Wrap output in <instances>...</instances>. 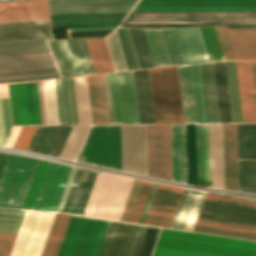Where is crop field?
I'll list each match as a JSON object with an SVG mask.
<instances>
[{"mask_svg":"<svg viewBox=\"0 0 256 256\" xmlns=\"http://www.w3.org/2000/svg\"><path fill=\"white\" fill-rule=\"evenodd\" d=\"M192 231L256 241V202L207 193Z\"/></svg>","mask_w":256,"mask_h":256,"instance_id":"8a807250","label":"crop field"},{"mask_svg":"<svg viewBox=\"0 0 256 256\" xmlns=\"http://www.w3.org/2000/svg\"><path fill=\"white\" fill-rule=\"evenodd\" d=\"M0 41V82L60 76L46 40Z\"/></svg>","mask_w":256,"mask_h":256,"instance_id":"ac0d7876","label":"crop field"},{"mask_svg":"<svg viewBox=\"0 0 256 256\" xmlns=\"http://www.w3.org/2000/svg\"><path fill=\"white\" fill-rule=\"evenodd\" d=\"M150 256H256V243L160 228Z\"/></svg>","mask_w":256,"mask_h":256,"instance_id":"34b2d1b8","label":"crop field"},{"mask_svg":"<svg viewBox=\"0 0 256 256\" xmlns=\"http://www.w3.org/2000/svg\"><path fill=\"white\" fill-rule=\"evenodd\" d=\"M50 19L125 18L137 0H47ZM123 19L66 20L51 22L53 28L119 25Z\"/></svg>","mask_w":256,"mask_h":256,"instance_id":"412701ff","label":"crop field"},{"mask_svg":"<svg viewBox=\"0 0 256 256\" xmlns=\"http://www.w3.org/2000/svg\"><path fill=\"white\" fill-rule=\"evenodd\" d=\"M209 24L256 25V12L131 11L121 26L164 28Z\"/></svg>","mask_w":256,"mask_h":256,"instance_id":"f4fd0767","label":"crop field"},{"mask_svg":"<svg viewBox=\"0 0 256 256\" xmlns=\"http://www.w3.org/2000/svg\"><path fill=\"white\" fill-rule=\"evenodd\" d=\"M133 180L98 172L83 215L119 221Z\"/></svg>","mask_w":256,"mask_h":256,"instance_id":"dd49c442","label":"crop field"},{"mask_svg":"<svg viewBox=\"0 0 256 256\" xmlns=\"http://www.w3.org/2000/svg\"><path fill=\"white\" fill-rule=\"evenodd\" d=\"M148 73L155 123H184L177 67Z\"/></svg>","mask_w":256,"mask_h":256,"instance_id":"e52e79f7","label":"crop field"},{"mask_svg":"<svg viewBox=\"0 0 256 256\" xmlns=\"http://www.w3.org/2000/svg\"><path fill=\"white\" fill-rule=\"evenodd\" d=\"M109 222L71 216L57 256H98Z\"/></svg>","mask_w":256,"mask_h":256,"instance_id":"d8731c3e","label":"crop field"},{"mask_svg":"<svg viewBox=\"0 0 256 256\" xmlns=\"http://www.w3.org/2000/svg\"><path fill=\"white\" fill-rule=\"evenodd\" d=\"M76 161L121 170L120 125L92 126Z\"/></svg>","mask_w":256,"mask_h":256,"instance_id":"5a996713","label":"crop field"},{"mask_svg":"<svg viewBox=\"0 0 256 256\" xmlns=\"http://www.w3.org/2000/svg\"><path fill=\"white\" fill-rule=\"evenodd\" d=\"M104 78L110 124L139 123L132 71Z\"/></svg>","mask_w":256,"mask_h":256,"instance_id":"3316defc","label":"crop field"},{"mask_svg":"<svg viewBox=\"0 0 256 256\" xmlns=\"http://www.w3.org/2000/svg\"><path fill=\"white\" fill-rule=\"evenodd\" d=\"M37 161L8 155L0 177V207L22 208Z\"/></svg>","mask_w":256,"mask_h":256,"instance_id":"28ad6ade","label":"crop field"},{"mask_svg":"<svg viewBox=\"0 0 256 256\" xmlns=\"http://www.w3.org/2000/svg\"><path fill=\"white\" fill-rule=\"evenodd\" d=\"M187 183L209 187L207 125H185Z\"/></svg>","mask_w":256,"mask_h":256,"instance_id":"d1516ede","label":"crop field"},{"mask_svg":"<svg viewBox=\"0 0 256 256\" xmlns=\"http://www.w3.org/2000/svg\"><path fill=\"white\" fill-rule=\"evenodd\" d=\"M54 215L26 211L11 256H39Z\"/></svg>","mask_w":256,"mask_h":256,"instance_id":"22f410ed","label":"crop field"},{"mask_svg":"<svg viewBox=\"0 0 256 256\" xmlns=\"http://www.w3.org/2000/svg\"><path fill=\"white\" fill-rule=\"evenodd\" d=\"M47 42L62 77L94 73L84 39Z\"/></svg>","mask_w":256,"mask_h":256,"instance_id":"cbeb9de0","label":"crop field"},{"mask_svg":"<svg viewBox=\"0 0 256 256\" xmlns=\"http://www.w3.org/2000/svg\"><path fill=\"white\" fill-rule=\"evenodd\" d=\"M147 176L171 180L169 125H146Z\"/></svg>","mask_w":256,"mask_h":256,"instance_id":"5142ce71","label":"crop field"},{"mask_svg":"<svg viewBox=\"0 0 256 256\" xmlns=\"http://www.w3.org/2000/svg\"><path fill=\"white\" fill-rule=\"evenodd\" d=\"M133 10L256 11V0H139Z\"/></svg>","mask_w":256,"mask_h":256,"instance_id":"d9b57169","label":"crop field"},{"mask_svg":"<svg viewBox=\"0 0 256 256\" xmlns=\"http://www.w3.org/2000/svg\"><path fill=\"white\" fill-rule=\"evenodd\" d=\"M145 227L111 221L99 256H136Z\"/></svg>","mask_w":256,"mask_h":256,"instance_id":"733c2abd","label":"crop field"},{"mask_svg":"<svg viewBox=\"0 0 256 256\" xmlns=\"http://www.w3.org/2000/svg\"><path fill=\"white\" fill-rule=\"evenodd\" d=\"M13 125H40L35 81L8 84Z\"/></svg>","mask_w":256,"mask_h":256,"instance_id":"4a817a6b","label":"crop field"},{"mask_svg":"<svg viewBox=\"0 0 256 256\" xmlns=\"http://www.w3.org/2000/svg\"><path fill=\"white\" fill-rule=\"evenodd\" d=\"M122 170L146 176L145 125H121Z\"/></svg>","mask_w":256,"mask_h":256,"instance_id":"bc2a9ffb","label":"crop field"},{"mask_svg":"<svg viewBox=\"0 0 256 256\" xmlns=\"http://www.w3.org/2000/svg\"><path fill=\"white\" fill-rule=\"evenodd\" d=\"M76 169L77 168L75 167L72 168L71 174L69 176V179H68V182H67V185L63 193L57 212L62 211L73 177L75 175ZM96 173L97 172L95 171H90V170H85L80 168L77 169L76 175L74 177L71 189L69 191V194L62 212L74 214V215L82 214V211L84 209V206L88 198L90 189L92 187Z\"/></svg>","mask_w":256,"mask_h":256,"instance_id":"214f88e0","label":"crop field"},{"mask_svg":"<svg viewBox=\"0 0 256 256\" xmlns=\"http://www.w3.org/2000/svg\"><path fill=\"white\" fill-rule=\"evenodd\" d=\"M182 190L159 184L144 224L169 228Z\"/></svg>","mask_w":256,"mask_h":256,"instance_id":"92a150f3","label":"crop field"},{"mask_svg":"<svg viewBox=\"0 0 256 256\" xmlns=\"http://www.w3.org/2000/svg\"><path fill=\"white\" fill-rule=\"evenodd\" d=\"M73 126H38L26 151L58 157Z\"/></svg>","mask_w":256,"mask_h":256,"instance_id":"dafd665d","label":"crop field"},{"mask_svg":"<svg viewBox=\"0 0 256 256\" xmlns=\"http://www.w3.org/2000/svg\"><path fill=\"white\" fill-rule=\"evenodd\" d=\"M174 29L184 64L210 62L200 27Z\"/></svg>","mask_w":256,"mask_h":256,"instance_id":"00972430","label":"crop field"},{"mask_svg":"<svg viewBox=\"0 0 256 256\" xmlns=\"http://www.w3.org/2000/svg\"><path fill=\"white\" fill-rule=\"evenodd\" d=\"M210 187L224 189L222 124L208 125Z\"/></svg>","mask_w":256,"mask_h":256,"instance_id":"a9b5d70f","label":"crop field"},{"mask_svg":"<svg viewBox=\"0 0 256 256\" xmlns=\"http://www.w3.org/2000/svg\"><path fill=\"white\" fill-rule=\"evenodd\" d=\"M71 166L53 163L38 209L55 212Z\"/></svg>","mask_w":256,"mask_h":256,"instance_id":"4177f3b9","label":"crop field"},{"mask_svg":"<svg viewBox=\"0 0 256 256\" xmlns=\"http://www.w3.org/2000/svg\"><path fill=\"white\" fill-rule=\"evenodd\" d=\"M205 194L184 189L170 228L191 231Z\"/></svg>","mask_w":256,"mask_h":256,"instance_id":"730fd06b","label":"crop field"},{"mask_svg":"<svg viewBox=\"0 0 256 256\" xmlns=\"http://www.w3.org/2000/svg\"><path fill=\"white\" fill-rule=\"evenodd\" d=\"M243 122H256V103L250 61H236Z\"/></svg>","mask_w":256,"mask_h":256,"instance_id":"eef30255","label":"crop field"},{"mask_svg":"<svg viewBox=\"0 0 256 256\" xmlns=\"http://www.w3.org/2000/svg\"><path fill=\"white\" fill-rule=\"evenodd\" d=\"M225 189L238 191L236 124H223Z\"/></svg>","mask_w":256,"mask_h":256,"instance_id":"ae1a2a85","label":"crop field"},{"mask_svg":"<svg viewBox=\"0 0 256 256\" xmlns=\"http://www.w3.org/2000/svg\"><path fill=\"white\" fill-rule=\"evenodd\" d=\"M92 124H109L103 74L86 76Z\"/></svg>","mask_w":256,"mask_h":256,"instance_id":"d3111659","label":"crop field"},{"mask_svg":"<svg viewBox=\"0 0 256 256\" xmlns=\"http://www.w3.org/2000/svg\"><path fill=\"white\" fill-rule=\"evenodd\" d=\"M60 124H78L72 77L54 79Z\"/></svg>","mask_w":256,"mask_h":256,"instance_id":"750c4746","label":"crop field"},{"mask_svg":"<svg viewBox=\"0 0 256 256\" xmlns=\"http://www.w3.org/2000/svg\"><path fill=\"white\" fill-rule=\"evenodd\" d=\"M233 59L256 60V29H225Z\"/></svg>","mask_w":256,"mask_h":256,"instance_id":"bd1437ed","label":"crop field"},{"mask_svg":"<svg viewBox=\"0 0 256 256\" xmlns=\"http://www.w3.org/2000/svg\"><path fill=\"white\" fill-rule=\"evenodd\" d=\"M25 211L0 209V231L17 233ZM0 232V256H10L17 234Z\"/></svg>","mask_w":256,"mask_h":256,"instance_id":"1d83c4d3","label":"crop field"},{"mask_svg":"<svg viewBox=\"0 0 256 256\" xmlns=\"http://www.w3.org/2000/svg\"><path fill=\"white\" fill-rule=\"evenodd\" d=\"M49 15L46 0L0 3V19Z\"/></svg>","mask_w":256,"mask_h":256,"instance_id":"120bbe31","label":"crop field"},{"mask_svg":"<svg viewBox=\"0 0 256 256\" xmlns=\"http://www.w3.org/2000/svg\"><path fill=\"white\" fill-rule=\"evenodd\" d=\"M133 74L140 123H154L147 70Z\"/></svg>","mask_w":256,"mask_h":256,"instance_id":"d32e631a","label":"crop field"},{"mask_svg":"<svg viewBox=\"0 0 256 256\" xmlns=\"http://www.w3.org/2000/svg\"><path fill=\"white\" fill-rule=\"evenodd\" d=\"M220 123H232L224 62L213 63Z\"/></svg>","mask_w":256,"mask_h":256,"instance_id":"5866460e","label":"crop field"},{"mask_svg":"<svg viewBox=\"0 0 256 256\" xmlns=\"http://www.w3.org/2000/svg\"><path fill=\"white\" fill-rule=\"evenodd\" d=\"M50 162L38 161L31 185L22 209L36 210L50 167Z\"/></svg>","mask_w":256,"mask_h":256,"instance_id":"028f5c9d","label":"crop field"},{"mask_svg":"<svg viewBox=\"0 0 256 256\" xmlns=\"http://www.w3.org/2000/svg\"><path fill=\"white\" fill-rule=\"evenodd\" d=\"M85 40L94 68V72H114L104 38Z\"/></svg>","mask_w":256,"mask_h":256,"instance_id":"e1f06a70","label":"crop field"},{"mask_svg":"<svg viewBox=\"0 0 256 256\" xmlns=\"http://www.w3.org/2000/svg\"><path fill=\"white\" fill-rule=\"evenodd\" d=\"M238 159H256V124H237Z\"/></svg>","mask_w":256,"mask_h":256,"instance_id":"0bd39190","label":"crop field"},{"mask_svg":"<svg viewBox=\"0 0 256 256\" xmlns=\"http://www.w3.org/2000/svg\"><path fill=\"white\" fill-rule=\"evenodd\" d=\"M197 123H208L201 64L190 65Z\"/></svg>","mask_w":256,"mask_h":256,"instance_id":"b80d0937","label":"crop field"},{"mask_svg":"<svg viewBox=\"0 0 256 256\" xmlns=\"http://www.w3.org/2000/svg\"><path fill=\"white\" fill-rule=\"evenodd\" d=\"M185 123H196L189 65L178 67Z\"/></svg>","mask_w":256,"mask_h":256,"instance_id":"c035e120","label":"crop field"},{"mask_svg":"<svg viewBox=\"0 0 256 256\" xmlns=\"http://www.w3.org/2000/svg\"><path fill=\"white\" fill-rule=\"evenodd\" d=\"M155 67L171 66L160 29H144Z\"/></svg>","mask_w":256,"mask_h":256,"instance_id":"c21b1889","label":"crop field"},{"mask_svg":"<svg viewBox=\"0 0 256 256\" xmlns=\"http://www.w3.org/2000/svg\"><path fill=\"white\" fill-rule=\"evenodd\" d=\"M209 123H219L212 63L202 64Z\"/></svg>","mask_w":256,"mask_h":256,"instance_id":"03da06ac","label":"crop field"},{"mask_svg":"<svg viewBox=\"0 0 256 256\" xmlns=\"http://www.w3.org/2000/svg\"><path fill=\"white\" fill-rule=\"evenodd\" d=\"M52 35L50 24L0 28V40Z\"/></svg>","mask_w":256,"mask_h":256,"instance_id":"b54c1fbb","label":"crop field"},{"mask_svg":"<svg viewBox=\"0 0 256 256\" xmlns=\"http://www.w3.org/2000/svg\"><path fill=\"white\" fill-rule=\"evenodd\" d=\"M233 123L242 122L235 61L225 62Z\"/></svg>","mask_w":256,"mask_h":256,"instance_id":"5d738f31","label":"crop field"},{"mask_svg":"<svg viewBox=\"0 0 256 256\" xmlns=\"http://www.w3.org/2000/svg\"><path fill=\"white\" fill-rule=\"evenodd\" d=\"M139 64V68H151L153 62L143 29L128 28Z\"/></svg>","mask_w":256,"mask_h":256,"instance_id":"d23c7cc5","label":"crop field"},{"mask_svg":"<svg viewBox=\"0 0 256 256\" xmlns=\"http://www.w3.org/2000/svg\"><path fill=\"white\" fill-rule=\"evenodd\" d=\"M46 125L59 124L53 79L41 80Z\"/></svg>","mask_w":256,"mask_h":256,"instance_id":"425ffa30","label":"crop field"},{"mask_svg":"<svg viewBox=\"0 0 256 256\" xmlns=\"http://www.w3.org/2000/svg\"><path fill=\"white\" fill-rule=\"evenodd\" d=\"M69 215L57 214L42 256H56Z\"/></svg>","mask_w":256,"mask_h":256,"instance_id":"25e5ab78","label":"crop field"},{"mask_svg":"<svg viewBox=\"0 0 256 256\" xmlns=\"http://www.w3.org/2000/svg\"><path fill=\"white\" fill-rule=\"evenodd\" d=\"M239 191L256 193V160H238Z\"/></svg>","mask_w":256,"mask_h":256,"instance_id":"73cf0c24","label":"crop field"},{"mask_svg":"<svg viewBox=\"0 0 256 256\" xmlns=\"http://www.w3.org/2000/svg\"><path fill=\"white\" fill-rule=\"evenodd\" d=\"M79 124H90L84 76L73 77Z\"/></svg>","mask_w":256,"mask_h":256,"instance_id":"89e229c0","label":"crop field"},{"mask_svg":"<svg viewBox=\"0 0 256 256\" xmlns=\"http://www.w3.org/2000/svg\"><path fill=\"white\" fill-rule=\"evenodd\" d=\"M89 126H74L59 157L74 160Z\"/></svg>","mask_w":256,"mask_h":256,"instance_id":"1f2cbd36","label":"crop field"},{"mask_svg":"<svg viewBox=\"0 0 256 256\" xmlns=\"http://www.w3.org/2000/svg\"><path fill=\"white\" fill-rule=\"evenodd\" d=\"M204 35L205 43L209 53L210 61H221L223 55L217 38L214 26L201 27Z\"/></svg>","mask_w":256,"mask_h":256,"instance_id":"dbb93151","label":"crop field"},{"mask_svg":"<svg viewBox=\"0 0 256 256\" xmlns=\"http://www.w3.org/2000/svg\"><path fill=\"white\" fill-rule=\"evenodd\" d=\"M117 31H118L120 43L122 46L123 54L125 57L127 69L128 70L139 69L137 61H136V57L134 54V50L132 47V43L130 40V36L128 33V29L127 28H118Z\"/></svg>","mask_w":256,"mask_h":256,"instance_id":"0fb4a251","label":"crop field"},{"mask_svg":"<svg viewBox=\"0 0 256 256\" xmlns=\"http://www.w3.org/2000/svg\"><path fill=\"white\" fill-rule=\"evenodd\" d=\"M161 30H162V34H163V37H164L166 47H167V51H168V54H169L171 65L175 66V65L183 64L182 59H181V55H180V52H179L177 40H176V37H175L174 29L173 28H167V29H161Z\"/></svg>","mask_w":256,"mask_h":256,"instance_id":"1d79db26","label":"crop field"},{"mask_svg":"<svg viewBox=\"0 0 256 256\" xmlns=\"http://www.w3.org/2000/svg\"><path fill=\"white\" fill-rule=\"evenodd\" d=\"M106 39H107L112 60L115 66V70L116 71L127 70L124 57L122 54L121 46L119 43L117 31H114L113 33H111L108 37H106Z\"/></svg>","mask_w":256,"mask_h":256,"instance_id":"9d1cf04e","label":"crop field"},{"mask_svg":"<svg viewBox=\"0 0 256 256\" xmlns=\"http://www.w3.org/2000/svg\"><path fill=\"white\" fill-rule=\"evenodd\" d=\"M172 180L179 182L178 125H170Z\"/></svg>","mask_w":256,"mask_h":256,"instance_id":"447ae74e","label":"crop field"},{"mask_svg":"<svg viewBox=\"0 0 256 256\" xmlns=\"http://www.w3.org/2000/svg\"><path fill=\"white\" fill-rule=\"evenodd\" d=\"M118 26L105 27H70L67 29H94V28H116ZM114 29H94V30H67L69 38H89V37H105Z\"/></svg>","mask_w":256,"mask_h":256,"instance_id":"0765c3eb","label":"crop field"},{"mask_svg":"<svg viewBox=\"0 0 256 256\" xmlns=\"http://www.w3.org/2000/svg\"><path fill=\"white\" fill-rule=\"evenodd\" d=\"M11 128L8 98L0 99V146Z\"/></svg>","mask_w":256,"mask_h":256,"instance_id":"db79e9e6","label":"crop field"},{"mask_svg":"<svg viewBox=\"0 0 256 256\" xmlns=\"http://www.w3.org/2000/svg\"><path fill=\"white\" fill-rule=\"evenodd\" d=\"M159 228L147 226L137 256H149Z\"/></svg>","mask_w":256,"mask_h":256,"instance_id":"7b73153f","label":"crop field"},{"mask_svg":"<svg viewBox=\"0 0 256 256\" xmlns=\"http://www.w3.org/2000/svg\"><path fill=\"white\" fill-rule=\"evenodd\" d=\"M142 182L143 181L141 180H137V179L134 180L132 189L130 191V194H129V197L120 221H124V222L129 221V218L132 213Z\"/></svg>","mask_w":256,"mask_h":256,"instance_id":"78b8030e","label":"crop field"},{"mask_svg":"<svg viewBox=\"0 0 256 256\" xmlns=\"http://www.w3.org/2000/svg\"><path fill=\"white\" fill-rule=\"evenodd\" d=\"M151 184L152 183H150V182H146V181L143 182L142 188L140 190L137 202L135 204V207H134V210H133V213H132V216H131L129 222H133V223L138 222V219L140 217V214H141L142 208L144 206L145 200L147 198Z\"/></svg>","mask_w":256,"mask_h":256,"instance_id":"0f1d7ab4","label":"crop field"},{"mask_svg":"<svg viewBox=\"0 0 256 256\" xmlns=\"http://www.w3.org/2000/svg\"><path fill=\"white\" fill-rule=\"evenodd\" d=\"M36 127H22L12 148L25 151Z\"/></svg>","mask_w":256,"mask_h":256,"instance_id":"e1d0b9f6","label":"crop field"},{"mask_svg":"<svg viewBox=\"0 0 256 256\" xmlns=\"http://www.w3.org/2000/svg\"><path fill=\"white\" fill-rule=\"evenodd\" d=\"M180 182L186 183L184 125H179Z\"/></svg>","mask_w":256,"mask_h":256,"instance_id":"ae633e8c","label":"crop field"},{"mask_svg":"<svg viewBox=\"0 0 256 256\" xmlns=\"http://www.w3.org/2000/svg\"><path fill=\"white\" fill-rule=\"evenodd\" d=\"M43 18H49V16L31 17V18H18V19H5V20H0V22L18 21V20H31V19H43ZM44 23H50L49 19L31 20V21H18V22H5V23H0V27L19 26V25H32V24H44Z\"/></svg>","mask_w":256,"mask_h":256,"instance_id":"d14b1444","label":"crop field"},{"mask_svg":"<svg viewBox=\"0 0 256 256\" xmlns=\"http://www.w3.org/2000/svg\"><path fill=\"white\" fill-rule=\"evenodd\" d=\"M225 60L232 59L222 26H215Z\"/></svg>","mask_w":256,"mask_h":256,"instance_id":"c39391a2","label":"crop field"},{"mask_svg":"<svg viewBox=\"0 0 256 256\" xmlns=\"http://www.w3.org/2000/svg\"><path fill=\"white\" fill-rule=\"evenodd\" d=\"M158 184L153 183L138 223L143 224Z\"/></svg>","mask_w":256,"mask_h":256,"instance_id":"ade564c9","label":"crop field"},{"mask_svg":"<svg viewBox=\"0 0 256 256\" xmlns=\"http://www.w3.org/2000/svg\"><path fill=\"white\" fill-rule=\"evenodd\" d=\"M36 85H37L40 121H41V125H45L40 80L36 81Z\"/></svg>","mask_w":256,"mask_h":256,"instance_id":"c5b07064","label":"crop field"},{"mask_svg":"<svg viewBox=\"0 0 256 256\" xmlns=\"http://www.w3.org/2000/svg\"><path fill=\"white\" fill-rule=\"evenodd\" d=\"M20 128L21 127H13L12 128V130H11V132H10L6 142H5L6 147H10V148L12 147Z\"/></svg>","mask_w":256,"mask_h":256,"instance_id":"c3a83c6f","label":"crop field"},{"mask_svg":"<svg viewBox=\"0 0 256 256\" xmlns=\"http://www.w3.org/2000/svg\"><path fill=\"white\" fill-rule=\"evenodd\" d=\"M8 97L7 83H0V98Z\"/></svg>","mask_w":256,"mask_h":256,"instance_id":"fb207236","label":"crop field"},{"mask_svg":"<svg viewBox=\"0 0 256 256\" xmlns=\"http://www.w3.org/2000/svg\"><path fill=\"white\" fill-rule=\"evenodd\" d=\"M224 28H256V26L251 25H223Z\"/></svg>","mask_w":256,"mask_h":256,"instance_id":"7312dd0a","label":"crop field"},{"mask_svg":"<svg viewBox=\"0 0 256 256\" xmlns=\"http://www.w3.org/2000/svg\"><path fill=\"white\" fill-rule=\"evenodd\" d=\"M251 64H252V72H253L254 88H255V95H256V62L251 61Z\"/></svg>","mask_w":256,"mask_h":256,"instance_id":"180be81f","label":"crop field"},{"mask_svg":"<svg viewBox=\"0 0 256 256\" xmlns=\"http://www.w3.org/2000/svg\"><path fill=\"white\" fill-rule=\"evenodd\" d=\"M7 155L8 154H6V153H1L0 152V174H1L2 168L4 166L5 160L7 158Z\"/></svg>","mask_w":256,"mask_h":256,"instance_id":"f0312440","label":"crop field"},{"mask_svg":"<svg viewBox=\"0 0 256 256\" xmlns=\"http://www.w3.org/2000/svg\"><path fill=\"white\" fill-rule=\"evenodd\" d=\"M247 198H252V197H247ZM254 199H256V198H254Z\"/></svg>","mask_w":256,"mask_h":256,"instance_id":"1f1604b0","label":"crop field"}]
</instances>
